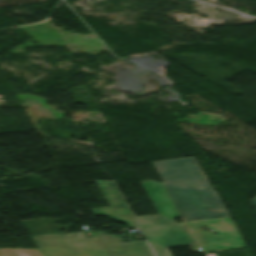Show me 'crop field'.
<instances>
[{"instance_id": "crop-field-1", "label": "crop field", "mask_w": 256, "mask_h": 256, "mask_svg": "<svg viewBox=\"0 0 256 256\" xmlns=\"http://www.w3.org/2000/svg\"><path fill=\"white\" fill-rule=\"evenodd\" d=\"M162 183L200 252L246 247L217 191L201 172L194 157L152 162ZM206 225L218 232L203 233Z\"/></svg>"}, {"instance_id": "crop-field-3", "label": "crop field", "mask_w": 256, "mask_h": 256, "mask_svg": "<svg viewBox=\"0 0 256 256\" xmlns=\"http://www.w3.org/2000/svg\"><path fill=\"white\" fill-rule=\"evenodd\" d=\"M32 239L43 256H110L99 236L87 237L84 232L40 235Z\"/></svg>"}, {"instance_id": "crop-field-7", "label": "crop field", "mask_w": 256, "mask_h": 256, "mask_svg": "<svg viewBox=\"0 0 256 256\" xmlns=\"http://www.w3.org/2000/svg\"><path fill=\"white\" fill-rule=\"evenodd\" d=\"M256 208V197H254L251 201H250Z\"/></svg>"}, {"instance_id": "crop-field-8", "label": "crop field", "mask_w": 256, "mask_h": 256, "mask_svg": "<svg viewBox=\"0 0 256 256\" xmlns=\"http://www.w3.org/2000/svg\"><path fill=\"white\" fill-rule=\"evenodd\" d=\"M0 256H2L1 253H0Z\"/></svg>"}, {"instance_id": "crop-field-4", "label": "crop field", "mask_w": 256, "mask_h": 256, "mask_svg": "<svg viewBox=\"0 0 256 256\" xmlns=\"http://www.w3.org/2000/svg\"><path fill=\"white\" fill-rule=\"evenodd\" d=\"M95 182L109 207L91 209L93 215L104 214L130 228H138L113 181L95 180Z\"/></svg>"}, {"instance_id": "crop-field-6", "label": "crop field", "mask_w": 256, "mask_h": 256, "mask_svg": "<svg viewBox=\"0 0 256 256\" xmlns=\"http://www.w3.org/2000/svg\"><path fill=\"white\" fill-rule=\"evenodd\" d=\"M3 256H42L38 249L0 248Z\"/></svg>"}, {"instance_id": "crop-field-2", "label": "crop field", "mask_w": 256, "mask_h": 256, "mask_svg": "<svg viewBox=\"0 0 256 256\" xmlns=\"http://www.w3.org/2000/svg\"><path fill=\"white\" fill-rule=\"evenodd\" d=\"M159 215L137 217L157 256H171L168 248L190 245L199 252L184 223H176L179 217L175 207L159 182H141ZM142 230V231H143Z\"/></svg>"}, {"instance_id": "crop-field-5", "label": "crop field", "mask_w": 256, "mask_h": 256, "mask_svg": "<svg viewBox=\"0 0 256 256\" xmlns=\"http://www.w3.org/2000/svg\"><path fill=\"white\" fill-rule=\"evenodd\" d=\"M98 234L111 256H154L145 241L123 244L119 235Z\"/></svg>"}]
</instances>
